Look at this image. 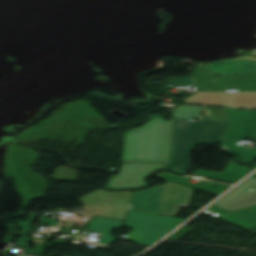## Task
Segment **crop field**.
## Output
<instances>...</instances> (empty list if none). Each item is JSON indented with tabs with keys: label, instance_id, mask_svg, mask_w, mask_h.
I'll list each match as a JSON object with an SVG mask.
<instances>
[{
	"label": "crop field",
	"instance_id": "8a807250",
	"mask_svg": "<svg viewBox=\"0 0 256 256\" xmlns=\"http://www.w3.org/2000/svg\"><path fill=\"white\" fill-rule=\"evenodd\" d=\"M229 125V122L225 120L203 117H199L197 122L173 119L171 150L167 168L178 173L187 172L189 158L195 145L202 143H220Z\"/></svg>",
	"mask_w": 256,
	"mask_h": 256
},
{
	"label": "crop field",
	"instance_id": "ac0d7876",
	"mask_svg": "<svg viewBox=\"0 0 256 256\" xmlns=\"http://www.w3.org/2000/svg\"><path fill=\"white\" fill-rule=\"evenodd\" d=\"M169 122L152 116L144 127L126 133L121 161L165 162Z\"/></svg>",
	"mask_w": 256,
	"mask_h": 256
},
{
	"label": "crop field",
	"instance_id": "34b2d1b8",
	"mask_svg": "<svg viewBox=\"0 0 256 256\" xmlns=\"http://www.w3.org/2000/svg\"><path fill=\"white\" fill-rule=\"evenodd\" d=\"M194 189L170 182L135 191L129 210L175 217L180 206L189 207Z\"/></svg>",
	"mask_w": 256,
	"mask_h": 256
},
{
	"label": "crop field",
	"instance_id": "412701ff",
	"mask_svg": "<svg viewBox=\"0 0 256 256\" xmlns=\"http://www.w3.org/2000/svg\"><path fill=\"white\" fill-rule=\"evenodd\" d=\"M90 194V193H89ZM88 195V194H87ZM131 191L109 193L98 190L79 200L84 204L81 221L67 219L62 221L65 226H84L94 215L122 220L127 213Z\"/></svg>",
	"mask_w": 256,
	"mask_h": 256
},
{
	"label": "crop field",
	"instance_id": "f4fd0767",
	"mask_svg": "<svg viewBox=\"0 0 256 256\" xmlns=\"http://www.w3.org/2000/svg\"><path fill=\"white\" fill-rule=\"evenodd\" d=\"M184 219L130 211L123 226L133 228L126 240L150 246Z\"/></svg>",
	"mask_w": 256,
	"mask_h": 256
},
{
	"label": "crop field",
	"instance_id": "dd49c442",
	"mask_svg": "<svg viewBox=\"0 0 256 256\" xmlns=\"http://www.w3.org/2000/svg\"><path fill=\"white\" fill-rule=\"evenodd\" d=\"M164 166L165 164L152 163L122 164L119 175L113 178L107 187L125 188L146 185V183L142 180L143 176Z\"/></svg>",
	"mask_w": 256,
	"mask_h": 256
},
{
	"label": "crop field",
	"instance_id": "e52e79f7",
	"mask_svg": "<svg viewBox=\"0 0 256 256\" xmlns=\"http://www.w3.org/2000/svg\"><path fill=\"white\" fill-rule=\"evenodd\" d=\"M255 188L254 191H246L249 188ZM256 205V175L245 180L236 189L223 197L214 206L228 211H235Z\"/></svg>",
	"mask_w": 256,
	"mask_h": 256
},
{
	"label": "crop field",
	"instance_id": "d8731c3e",
	"mask_svg": "<svg viewBox=\"0 0 256 256\" xmlns=\"http://www.w3.org/2000/svg\"><path fill=\"white\" fill-rule=\"evenodd\" d=\"M205 212L218 216L248 229L256 227V206L229 213L217 207H210Z\"/></svg>",
	"mask_w": 256,
	"mask_h": 256
},
{
	"label": "crop field",
	"instance_id": "5a996713",
	"mask_svg": "<svg viewBox=\"0 0 256 256\" xmlns=\"http://www.w3.org/2000/svg\"><path fill=\"white\" fill-rule=\"evenodd\" d=\"M197 171L193 173V175L218 180L230 184H235L238 182L241 178H243L245 175L249 173V169L246 167H242L237 165L233 159L232 161L225 167L222 174L206 171L202 169L196 168Z\"/></svg>",
	"mask_w": 256,
	"mask_h": 256
},
{
	"label": "crop field",
	"instance_id": "3316defc",
	"mask_svg": "<svg viewBox=\"0 0 256 256\" xmlns=\"http://www.w3.org/2000/svg\"><path fill=\"white\" fill-rule=\"evenodd\" d=\"M86 226L90 227V231L98 232L103 234L101 240L98 242L99 244H111L116 239L113 238L110 234L111 229L122 227L121 222L117 220L105 219L95 217L91 220Z\"/></svg>",
	"mask_w": 256,
	"mask_h": 256
},
{
	"label": "crop field",
	"instance_id": "28ad6ade",
	"mask_svg": "<svg viewBox=\"0 0 256 256\" xmlns=\"http://www.w3.org/2000/svg\"><path fill=\"white\" fill-rule=\"evenodd\" d=\"M201 107L184 105L173 112V118L197 119Z\"/></svg>",
	"mask_w": 256,
	"mask_h": 256
},
{
	"label": "crop field",
	"instance_id": "d1516ede",
	"mask_svg": "<svg viewBox=\"0 0 256 256\" xmlns=\"http://www.w3.org/2000/svg\"><path fill=\"white\" fill-rule=\"evenodd\" d=\"M52 179L58 181L75 182L77 181V172L74 169L59 166L55 169V173Z\"/></svg>",
	"mask_w": 256,
	"mask_h": 256
},
{
	"label": "crop field",
	"instance_id": "22f410ed",
	"mask_svg": "<svg viewBox=\"0 0 256 256\" xmlns=\"http://www.w3.org/2000/svg\"><path fill=\"white\" fill-rule=\"evenodd\" d=\"M167 181H171V182H175L179 185H183V186H187V187H191L194 189L199 188V185H193V184H188L186 182H184V180L186 179V177H181V176H176L167 172H161L159 175L155 176Z\"/></svg>",
	"mask_w": 256,
	"mask_h": 256
},
{
	"label": "crop field",
	"instance_id": "cbeb9de0",
	"mask_svg": "<svg viewBox=\"0 0 256 256\" xmlns=\"http://www.w3.org/2000/svg\"><path fill=\"white\" fill-rule=\"evenodd\" d=\"M228 187L230 186L213 183V182H207L204 186L200 187L198 190L208 192L214 195H218Z\"/></svg>",
	"mask_w": 256,
	"mask_h": 256
},
{
	"label": "crop field",
	"instance_id": "5142ce71",
	"mask_svg": "<svg viewBox=\"0 0 256 256\" xmlns=\"http://www.w3.org/2000/svg\"><path fill=\"white\" fill-rule=\"evenodd\" d=\"M27 242H28V239H19L16 242V245L20 246V247H25L23 253L32 254V255H38V256L42 255V251H43V247L44 246H36L35 250H31V249H27V247H28Z\"/></svg>",
	"mask_w": 256,
	"mask_h": 256
},
{
	"label": "crop field",
	"instance_id": "d9b57169",
	"mask_svg": "<svg viewBox=\"0 0 256 256\" xmlns=\"http://www.w3.org/2000/svg\"><path fill=\"white\" fill-rule=\"evenodd\" d=\"M35 217V214H30L28 220L16 222L18 226H21V230L23 231V236L20 238H25V236L27 235L28 228L31 226V223Z\"/></svg>",
	"mask_w": 256,
	"mask_h": 256
},
{
	"label": "crop field",
	"instance_id": "733c2abd",
	"mask_svg": "<svg viewBox=\"0 0 256 256\" xmlns=\"http://www.w3.org/2000/svg\"><path fill=\"white\" fill-rule=\"evenodd\" d=\"M193 227H187V228H181L178 230L176 233H174L172 236L168 238V240H174L177 241L180 239L182 236H184L187 232H189Z\"/></svg>",
	"mask_w": 256,
	"mask_h": 256
},
{
	"label": "crop field",
	"instance_id": "4a817a6b",
	"mask_svg": "<svg viewBox=\"0 0 256 256\" xmlns=\"http://www.w3.org/2000/svg\"><path fill=\"white\" fill-rule=\"evenodd\" d=\"M40 220L43 221V222H46L49 226H56V225H58V222H57V221H55V220H50V219H48V218H46V217L40 216Z\"/></svg>",
	"mask_w": 256,
	"mask_h": 256
},
{
	"label": "crop field",
	"instance_id": "bc2a9ffb",
	"mask_svg": "<svg viewBox=\"0 0 256 256\" xmlns=\"http://www.w3.org/2000/svg\"><path fill=\"white\" fill-rule=\"evenodd\" d=\"M22 256H24V255H22Z\"/></svg>",
	"mask_w": 256,
	"mask_h": 256
}]
</instances>
